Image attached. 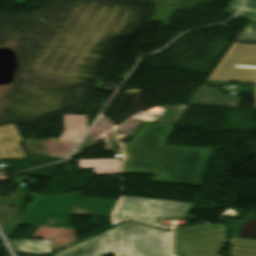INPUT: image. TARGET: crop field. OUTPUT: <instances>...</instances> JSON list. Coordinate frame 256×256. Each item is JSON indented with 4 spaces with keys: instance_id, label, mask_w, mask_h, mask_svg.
Listing matches in <instances>:
<instances>
[{
    "instance_id": "crop-field-1",
    "label": "crop field",
    "mask_w": 256,
    "mask_h": 256,
    "mask_svg": "<svg viewBox=\"0 0 256 256\" xmlns=\"http://www.w3.org/2000/svg\"><path fill=\"white\" fill-rule=\"evenodd\" d=\"M115 230L111 253L118 256H169L170 232L139 223H123Z\"/></svg>"
},
{
    "instance_id": "crop-field-2",
    "label": "crop field",
    "mask_w": 256,
    "mask_h": 256,
    "mask_svg": "<svg viewBox=\"0 0 256 256\" xmlns=\"http://www.w3.org/2000/svg\"><path fill=\"white\" fill-rule=\"evenodd\" d=\"M224 224L182 228L174 232V256H219L225 241Z\"/></svg>"
},
{
    "instance_id": "crop-field-3",
    "label": "crop field",
    "mask_w": 256,
    "mask_h": 256,
    "mask_svg": "<svg viewBox=\"0 0 256 256\" xmlns=\"http://www.w3.org/2000/svg\"><path fill=\"white\" fill-rule=\"evenodd\" d=\"M83 193L40 195L27 215L66 219L78 201L85 210L111 216L118 201L80 198Z\"/></svg>"
},
{
    "instance_id": "crop-field-4",
    "label": "crop field",
    "mask_w": 256,
    "mask_h": 256,
    "mask_svg": "<svg viewBox=\"0 0 256 256\" xmlns=\"http://www.w3.org/2000/svg\"><path fill=\"white\" fill-rule=\"evenodd\" d=\"M190 204L123 197L114 222L141 220L154 224L156 216L185 217Z\"/></svg>"
},
{
    "instance_id": "crop-field-5",
    "label": "crop field",
    "mask_w": 256,
    "mask_h": 256,
    "mask_svg": "<svg viewBox=\"0 0 256 256\" xmlns=\"http://www.w3.org/2000/svg\"><path fill=\"white\" fill-rule=\"evenodd\" d=\"M208 79L256 83V45L234 43Z\"/></svg>"
},
{
    "instance_id": "crop-field-6",
    "label": "crop field",
    "mask_w": 256,
    "mask_h": 256,
    "mask_svg": "<svg viewBox=\"0 0 256 256\" xmlns=\"http://www.w3.org/2000/svg\"><path fill=\"white\" fill-rule=\"evenodd\" d=\"M114 227L54 254V256H101L110 253Z\"/></svg>"
},
{
    "instance_id": "crop-field-7",
    "label": "crop field",
    "mask_w": 256,
    "mask_h": 256,
    "mask_svg": "<svg viewBox=\"0 0 256 256\" xmlns=\"http://www.w3.org/2000/svg\"><path fill=\"white\" fill-rule=\"evenodd\" d=\"M87 130L86 117L81 115H64V133L59 140L78 142Z\"/></svg>"
},
{
    "instance_id": "crop-field-8",
    "label": "crop field",
    "mask_w": 256,
    "mask_h": 256,
    "mask_svg": "<svg viewBox=\"0 0 256 256\" xmlns=\"http://www.w3.org/2000/svg\"><path fill=\"white\" fill-rule=\"evenodd\" d=\"M79 168H94L97 175L120 173V159L79 160Z\"/></svg>"
},
{
    "instance_id": "crop-field-9",
    "label": "crop field",
    "mask_w": 256,
    "mask_h": 256,
    "mask_svg": "<svg viewBox=\"0 0 256 256\" xmlns=\"http://www.w3.org/2000/svg\"><path fill=\"white\" fill-rule=\"evenodd\" d=\"M17 252L46 254L50 253L49 241H12Z\"/></svg>"
},
{
    "instance_id": "crop-field-10",
    "label": "crop field",
    "mask_w": 256,
    "mask_h": 256,
    "mask_svg": "<svg viewBox=\"0 0 256 256\" xmlns=\"http://www.w3.org/2000/svg\"><path fill=\"white\" fill-rule=\"evenodd\" d=\"M236 41L256 43V29L252 27L251 22H249Z\"/></svg>"
},
{
    "instance_id": "crop-field-11",
    "label": "crop field",
    "mask_w": 256,
    "mask_h": 256,
    "mask_svg": "<svg viewBox=\"0 0 256 256\" xmlns=\"http://www.w3.org/2000/svg\"><path fill=\"white\" fill-rule=\"evenodd\" d=\"M45 227L72 229L71 225L68 223L67 220L54 219V218H51V222L47 224Z\"/></svg>"
},
{
    "instance_id": "crop-field-12",
    "label": "crop field",
    "mask_w": 256,
    "mask_h": 256,
    "mask_svg": "<svg viewBox=\"0 0 256 256\" xmlns=\"http://www.w3.org/2000/svg\"><path fill=\"white\" fill-rule=\"evenodd\" d=\"M46 218L26 216L21 224L37 226L42 224Z\"/></svg>"
},
{
    "instance_id": "crop-field-13",
    "label": "crop field",
    "mask_w": 256,
    "mask_h": 256,
    "mask_svg": "<svg viewBox=\"0 0 256 256\" xmlns=\"http://www.w3.org/2000/svg\"><path fill=\"white\" fill-rule=\"evenodd\" d=\"M241 5V0H232L229 2V6L231 9L238 10Z\"/></svg>"
},
{
    "instance_id": "crop-field-14",
    "label": "crop field",
    "mask_w": 256,
    "mask_h": 256,
    "mask_svg": "<svg viewBox=\"0 0 256 256\" xmlns=\"http://www.w3.org/2000/svg\"><path fill=\"white\" fill-rule=\"evenodd\" d=\"M73 212H77V213H89V214H94L88 211H85L82 209V203L78 202V204L76 205L75 209L73 210Z\"/></svg>"
},
{
    "instance_id": "crop-field-15",
    "label": "crop field",
    "mask_w": 256,
    "mask_h": 256,
    "mask_svg": "<svg viewBox=\"0 0 256 256\" xmlns=\"http://www.w3.org/2000/svg\"><path fill=\"white\" fill-rule=\"evenodd\" d=\"M241 11L249 13V14L256 15V9H254V8L243 7Z\"/></svg>"
},
{
    "instance_id": "crop-field-16",
    "label": "crop field",
    "mask_w": 256,
    "mask_h": 256,
    "mask_svg": "<svg viewBox=\"0 0 256 256\" xmlns=\"http://www.w3.org/2000/svg\"><path fill=\"white\" fill-rule=\"evenodd\" d=\"M244 6L256 8V0H245Z\"/></svg>"
},
{
    "instance_id": "crop-field-17",
    "label": "crop field",
    "mask_w": 256,
    "mask_h": 256,
    "mask_svg": "<svg viewBox=\"0 0 256 256\" xmlns=\"http://www.w3.org/2000/svg\"><path fill=\"white\" fill-rule=\"evenodd\" d=\"M238 16L247 17V18H250V19H252V20H254L256 22V16H252V15H249V14H246V13H242V12H240Z\"/></svg>"
},
{
    "instance_id": "crop-field-18",
    "label": "crop field",
    "mask_w": 256,
    "mask_h": 256,
    "mask_svg": "<svg viewBox=\"0 0 256 256\" xmlns=\"http://www.w3.org/2000/svg\"><path fill=\"white\" fill-rule=\"evenodd\" d=\"M49 221H50V218H47L46 221L42 225H40V227H44L45 224L48 223Z\"/></svg>"
}]
</instances>
